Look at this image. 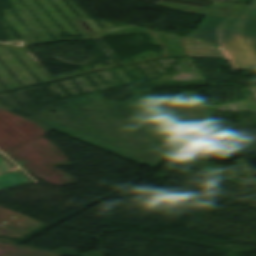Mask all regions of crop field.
<instances>
[{"mask_svg":"<svg viewBox=\"0 0 256 256\" xmlns=\"http://www.w3.org/2000/svg\"><path fill=\"white\" fill-rule=\"evenodd\" d=\"M182 43L189 57L223 56L234 70L256 68V37L232 34L218 48L189 36Z\"/></svg>","mask_w":256,"mask_h":256,"instance_id":"1","label":"crop field"},{"mask_svg":"<svg viewBox=\"0 0 256 256\" xmlns=\"http://www.w3.org/2000/svg\"><path fill=\"white\" fill-rule=\"evenodd\" d=\"M232 33L256 36V5L250 4L245 15L208 11L189 36L218 44Z\"/></svg>","mask_w":256,"mask_h":256,"instance_id":"2","label":"crop field"},{"mask_svg":"<svg viewBox=\"0 0 256 256\" xmlns=\"http://www.w3.org/2000/svg\"><path fill=\"white\" fill-rule=\"evenodd\" d=\"M157 5L171 8V9L178 10V11L196 13V14H205L207 11V9L195 8V7L178 5V4H173V3L161 2V1H158ZM247 7L248 6H244V5L215 2L210 10L244 14Z\"/></svg>","mask_w":256,"mask_h":256,"instance_id":"3","label":"crop field"},{"mask_svg":"<svg viewBox=\"0 0 256 256\" xmlns=\"http://www.w3.org/2000/svg\"><path fill=\"white\" fill-rule=\"evenodd\" d=\"M0 160L2 159L0 158ZM3 162L6 165H8L5 161ZM9 167L12 168L11 166ZM0 168L4 170L2 171L0 169V173L12 171V170H9L10 168L8 169L7 167H5L1 162H0ZM13 170H15L16 172L0 176V189L30 182V180L26 178L22 173H20L17 169H13Z\"/></svg>","mask_w":256,"mask_h":256,"instance_id":"4","label":"crop field"},{"mask_svg":"<svg viewBox=\"0 0 256 256\" xmlns=\"http://www.w3.org/2000/svg\"><path fill=\"white\" fill-rule=\"evenodd\" d=\"M252 3L256 4V0H253Z\"/></svg>","mask_w":256,"mask_h":256,"instance_id":"5","label":"crop field"}]
</instances>
